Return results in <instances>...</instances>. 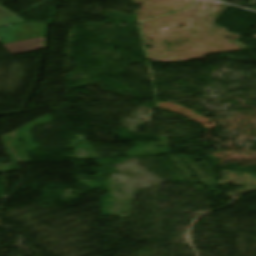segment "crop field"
Returning a JSON list of instances; mask_svg holds the SVG:
<instances>
[{"label":"crop field","mask_w":256,"mask_h":256,"mask_svg":"<svg viewBox=\"0 0 256 256\" xmlns=\"http://www.w3.org/2000/svg\"><path fill=\"white\" fill-rule=\"evenodd\" d=\"M46 25L28 23L0 28V38L2 44L19 40L31 39L44 36Z\"/></svg>","instance_id":"crop-field-1"},{"label":"crop field","mask_w":256,"mask_h":256,"mask_svg":"<svg viewBox=\"0 0 256 256\" xmlns=\"http://www.w3.org/2000/svg\"><path fill=\"white\" fill-rule=\"evenodd\" d=\"M44 39L45 37H42V38H37L32 40L8 43V44H5L4 46L8 49V51L11 54L28 52V51L44 48L45 46Z\"/></svg>","instance_id":"crop-field-2"},{"label":"crop field","mask_w":256,"mask_h":256,"mask_svg":"<svg viewBox=\"0 0 256 256\" xmlns=\"http://www.w3.org/2000/svg\"><path fill=\"white\" fill-rule=\"evenodd\" d=\"M20 22H24V20L9 11L8 9L4 8L3 6H0V26Z\"/></svg>","instance_id":"crop-field-3"}]
</instances>
